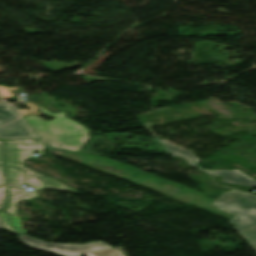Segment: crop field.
<instances>
[{"label":"crop field","mask_w":256,"mask_h":256,"mask_svg":"<svg viewBox=\"0 0 256 256\" xmlns=\"http://www.w3.org/2000/svg\"><path fill=\"white\" fill-rule=\"evenodd\" d=\"M43 114L56 118L50 122L38 116L24 117L38 138L46 145L80 152L90 138L89 130L83 125L64 117L67 112L52 114L42 106H38ZM62 145L63 147H58Z\"/></svg>","instance_id":"crop-field-1"},{"label":"crop field","mask_w":256,"mask_h":256,"mask_svg":"<svg viewBox=\"0 0 256 256\" xmlns=\"http://www.w3.org/2000/svg\"><path fill=\"white\" fill-rule=\"evenodd\" d=\"M213 203L217 208L238 215L230 222L256 251V196L231 191L224 193Z\"/></svg>","instance_id":"crop-field-2"},{"label":"crop field","mask_w":256,"mask_h":256,"mask_svg":"<svg viewBox=\"0 0 256 256\" xmlns=\"http://www.w3.org/2000/svg\"><path fill=\"white\" fill-rule=\"evenodd\" d=\"M5 144L8 185L21 186L24 184L23 160L32 158L34 149L42 155L43 150L47 148L39 139L5 140Z\"/></svg>","instance_id":"crop-field-3"},{"label":"crop field","mask_w":256,"mask_h":256,"mask_svg":"<svg viewBox=\"0 0 256 256\" xmlns=\"http://www.w3.org/2000/svg\"><path fill=\"white\" fill-rule=\"evenodd\" d=\"M18 237L21 241L25 242L32 248L52 252L60 256H82V253L111 247L102 241L78 245L64 243H48L40 241L29 235H20Z\"/></svg>","instance_id":"crop-field-4"},{"label":"crop field","mask_w":256,"mask_h":256,"mask_svg":"<svg viewBox=\"0 0 256 256\" xmlns=\"http://www.w3.org/2000/svg\"><path fill=\"white\" fill-rule=\"evenodd\" d=\"M39 191L37 193L29 191L25 192L18 187H8L9 194V208L0 211V219L3 224L4 229L16 233V234H26L27 232L22 229V223L20 218H17V208L16 203L20 199L30 200L37 198Z\"/></svg>","instance_id":"crop-field-5"},{"label":"crop field","mask_w":256,"mask_h":256,"mask_svg":"<svg viewBox=\"0 0 256 256\" xmlns=\"http://www.w3.org/2000/svg\"><path fill=\"white\" fill-rule=\"evenodd\" d=\"M25 185L31 186L35 189L41 190L43 188L58 189L72 191L79 193L78 191L52 179L45 177L42 174L25 166Z\"/></svg>","instance_id":"crop-field-6"},{"label":"crop field","mask_w":256,"mask_h":256,"mask_svg":"<svg viewBox=\"0 0 256 256\" xmlns=\"http://www.w3.org/2000/svg\"><path fill=\"white\" fill-rule=\"evenodd\" d=\"M37 138L24 119L0 128V139Z\"/></svg>","instance_id":"crop-field-7"},{"label":"crop field","mask_w":256,"mask_h":256,"mask_svg":"<svg viewBox=\"0 0 256 256\" xmlns=\"http://www.w3.org/2000/svg\"><path fill=\"white\" fill-rule=\"evenodd\" d=\"M212 176L223 177L225 182L236 183L244 186H254L256 187V181L252 178H248L244 173L234 170V171H210L206 170Z\"/></svg>","instance_id":"crop-field-8"},{"label":"crop field","mask_w":256,"mask_h":256,"mask_svg":"<svg viewBox=\"0 0 256 256\" xmlns=\"http://www.w3.org/2000/svg\"><path fill=\"white\" fill-rule=\"evenodd\" d=\"M166 148L173 154L177 156H184L187 160H189L191 163L196 164L199 159L196 158L191 151H186L178 146L172 145L166 141H161ZM194 159V161H192Z\"/></svg>","instance_id":"crop-field-9"},{"label":"crop field","mask_w":256,"mask_h":256,"mask_svg":"<svg viewBox=\"0 0 256 256\" xmlns=\"http://www.w3.org/2000/svg\"><path fill=\"white\" fill-rule=\"evenodd\" d=\"M17 112L9 105L0 103V125L18 118Z\"/></svg>","instance_id":"crop-field-10"},{"label":"crop field","mask_w":256,"mask_h":256,"mask_svg":"<svg viewBox=\"0 0 256 256\" xmlns=\"http://www.w3.org/2000/svg\"><path fill=\"white\" fill-rule=\"evenodd\" d=\"M120 255H122V252L114 248L83 254V256H120Z\"/></svg>","instance_id":"crop-field-11"},{"label":"crop field","mask_w":256,"mask_h":256,"mask_svg":"<svg viewBox=\"0 0 256 256\" xmlns=\"http://www.w3.org/2000/svg\"><path fill=\"white\" fill-rule=\"evenodd\" d=\"M0 185H6L3 158V142L0 140Z\"/></svg>","instance_id":"crop-field-12"},{"label":"crop field","mask_w":256,"mask_h":256,"mask_svg":"<svg viewBox=\"0 0 256 256\" xmlns=\"http://www.w3.org/2000/svg\"><path fill=\"white\" fill-rule=\"evenodd\" d=\"M7 207L6 187L0 186V210Z\"/></svg>","instance_id":"crop-field-13"},{"label":"crop field","mask_w":256,"mask_h":256,"mask_svg":"<svg viewBox=\"0 0 256 256\" xmlns=\"http://www.w3.org/2000/svg\"><path fill=\"white\" fill-rule=\"evenodd\" d=\"M26 105L30 106L31 110H22V109H19L20 112L23 114V116L42 114V113H36L37 111L35 112V110L38 109L35 104L27 103Z\"/></svg>","instance_id":"crop-field-14"},{"label":"crop field","mask_w":256,"mask_h":256,"mask_svg":"<svg viewBox=\"0 0 256 256\" xmlns=\"http://www.w3.org/2000/svg\"><path fill=\"white\" fill-rule=\"evenodd\" d=\"M18 88H6L4 86H0V96L3 97L4 99H8L12 96H14L9 90H15Z\"/></svg>","instance_id":"crop-field-15"},{"label":"crop field","mask_w":256,"mask_h":256,"mask_svg":"<svg viewBox=\"0 0 256 256\" xmlns=\"http://www.w3.org/2000/svg\"><path fill=\"white\" fill-rule=\"evenodd\" d=\"M0 228H3L1 222H0Z\"/></svg>","instance_id":"crop-field-16"}]
</instances>
